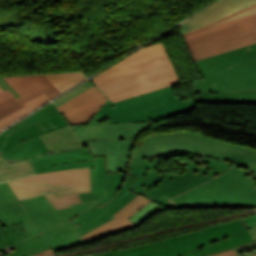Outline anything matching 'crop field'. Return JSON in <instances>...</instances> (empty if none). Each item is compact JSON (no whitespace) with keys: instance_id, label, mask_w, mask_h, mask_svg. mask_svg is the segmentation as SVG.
Returning a JSON list of instances; mask_svg holds the SVG:
<instances>
[{"instance_id":"crop-field-18","label":"crop field","mask_w":256,"mask_h":256,"mask_svg":"<svg viewBox=\"0 0 256 256\" xmlns=\"http://www.w3.org/2000/svg\"><path fill=\"white\" fill-rule=\"evenodd\" d=\"M202 156L235 162L240 166L256 164V149L212 138L209 139Z\"/></svg>"},{"instance_id":"crop-field-37","label":"crop field","mask_w":256,"mask_h":256,"mask_svg":"<svg viewBox=\"0 0 256 256\" xmlns=\"http://www.w3.org/2000/svg\"><path fill=\"white\" fill-rule=\"evenodd\" d=\"M251 180L256 182V176L255 177H251Z\"/></svg>"},{"instance_id":"crop-field-3","label":"crop field","mask_w":256,"mask_h":256,"mask_svg":"<svg viewBox=\"0 0 256 256\" xmlns=\"http://www.w3.org/2000/svg\"><path fill=\"white\" fill-rule=\"evenodd\" d=\"M65 125H68V122L60 113L25 127L8 138L6 135L14 129L12 127L0 135V155L11 162L30 158L34 167L95 160L96 191L105 192V157L93 158L87 147L52 155L46 149L39 135Z\"/></svg>"},{"instance_id":"crop-field-13","label":"crop field","mask_w":256,"mask_h":256,"mask_svg":"<svg viewBox=\"0 0 256 256\" xmlns=\"http://www.w3.org/2000/svg\"><path fill=\"white\" fill-rule=\"evenodd\" d=\"M30 217L17 201L7 182L0 184V250L7 256H31L51 248L42 234L19 242L7 222H23Z\"/></svg>"},{"instance_id":"crop-field-14","label":"crop field","mask_w":256,"mask_h":256,"mask_svg":"<svg viewBox=\"0 0 256 256\" xmlns=\"http://www.w3.org/2000/svg\"><path fill=\"white\" fill-rule=\"evenodd\" d=\"M208 137L188 131L156 133L146 137L142 146H137L133 160L144 161L164 154L183 152L202 155Z\"/></svg>"},{"instance_id":"crop-field-25","label":"crop field","mask_w":256,"mask_h":256,"mask_svg":"<svg viewBox=\"0 0 256 256\" xmlns=\"http://www.w3.org/2000/svg\"><path fill=\"white\" fill-rule=\"evenodd\" d=\"M60 113L56 107L52 104L40 109L39 111L35 112L34 114H32L31 116L27 117L26 119H24L21 123H19L16 128L9 133L7 136H11L13 133H15L16 131H18L19 129L28 126L30 124L39 122L41 120H44L48 117H51L53 115H56Z\"/></svg>"},{"instance_id":"crop-field-19","label":"crop field","mask_w":256,"mask_h":256,"mask_svg":"<svg viewBox=\"0 0 256 256\" xmlns=\"http://www.w3.org/2000/svg\"><path fill=\"white\" fill-rule=\"evenodd\" d=\"M254 2H256V0H221L181 24L182 32L189 31Z\"/></svg>"},{"instance_id":"crop-field-31","label":"crop field","mask_w":256,"mask_h":256,"mask_svg":"<svg viewBox=\"0 0 256 256\" xmlns=\"http://www.w3.org/2000/svg\"><path fill=\"white\" fill-rule=\"evenodd\" d=\"M9 225L19 241L30 237L29 233L26 231L21 223H9Z\"/></svg>"},{"instance_id":"crop-field-16","label":"crop field","mask_w":256,"mask_h":256,"mask_svg":"<svg viewBox=\"0 0 256 256\" xmlns=\"http://www.w3.org/2000/svg\"><path fill=\"white\" fill-rule=\"evenodd\" d=\"M151 201L152 200L144 196L138 195L115 215H113V219L81 236L82 239L85 243H87L139 226L129 218Z\"/></svg>"},{"instance_id":"crop-field-20","label":"crop field","mask_w":256,"mask_h":256,"mask_svg":"<svg viewBox=\"0 0 256 256\" xmlns=\"http://www.w3.org/2000/svg\"><path fill=\"white\" fill-rule=\"evenodd\" d=\"M41 138L51 154L85 146L70 125L41 135Z\"/></svg>"},{"instance_id":"crop-field-34","label":"crop field","mask_w":256,"mask_h":256,"mask_svg":"<svg viewBox=\"0 0 256 256\" xmlns=\"http://www.w3.org/2000/svg\"><path fill=\"white\" fill-rule=\"evenodd\" d=\"M0 87L4 90L9 89L17 98L20 97L13 87L3 78H0Z\"/></svg>"},{"instance_id":"crop-field-6","label":"crop field","mask_w":256,"mask_h":256,"mask_svg":"<svg viewBox=\"0 0 256 256\" xmlns=\"http://www.w3.org/2000/svg\"><path fill=\"white\" fill-rule=\"evenodd\" d=\"M173 86L112 104L107 101L87 124L157 121L195 109L196 99L181 101Z\"/></svg>"},{"instance_id":"crop-field-21","label":"crop field","mask_w":256,"mask_h":256,"mask_svg":"<svg viewBox=\"0 0 256 256\" xmlns=\"http://www.w3.org/2000/svg\"><path fill=\"white\" fill-rule=\"evenodd\" d=\"M197 102L255 103L256 89L234 93L197 94Z\"/></svg>"},{"instance_id":"crop-field-29","label":"crop field","mask_w":256,"mask_h":256,"mask_svg":"<svg viewBox=\"0 0 256 256\" xmlns=\"http://www.w3.org/2000/svg\"><path fill=\"white\" fill-rule=\"evenodd\" d=\"M84 166L94 167V161L63 164L58 166H45V167H38L35 169H36V172L39 173V172L50 171V170L67 169V168L84 167Z\"/></svg>"},{"instance_id":"crop-field-22","label":"crop field","mask_w":256,"mask_h":256,"mask_svg":"<svg viewBox=\"0 0 256 256\" xmlns=\"http://www.w3.org/2000/svg\"><path fill=\"white\" fill-rule=\"evenodd\" d=\"M248 233V232H247ZM246 233V231L237 233L233 236H230L224 240L218 241L212 245L205 246L199 250L192 251L186 255L182 256H205L209 255L211 253L221 251L224 249H228L240 244L252 242V239L249 237V235Z\"/></svg>"},{"instance_id":"crop-field-1","label":"crop field","mask_w":256,"mask_h":256,"mask_svg":"<svg viewBox=\"0 0 256 256\" xmlns=\"http://www.w3.org/2000/svg\"><path fill=\"white\" fill-rule=\"evenodd\" d=\"M91 79L112 102L181 82L162 42L138 50Z\"/></svg>"},{"instance_id":"crop-field-10","label":"crop field","mask_w":256,"mask_h":256,"mask_svg":"<svg viewBox=\"0 0 256 256\" xmlns=\"http://www.w3.org/2000/svg\"><path fill=\"white\" fill-rule=\"evenodd\" d=\"M19 202L51 244L55 253L83 244L74 229L77 226L70 220L95 202L77 204L59 210H56L44 195Z\"/></svg>"},{"instance_id":"crop-field-24","label":"crop field","mask_w":256,"mask_h":256,"mask_svg":"<svg viewBox=\"0 0 256 256\" xmlns=\"http://www.w3.org/2000/svg\"><path fill=\"white\" fill-rule=\"evenodd\" d=\"M49 80L61 91H65L74 86L84 78L83 73H62V74H47Z\"/></svg>"},{"instance_id":"crop-field-30","label":"crop field","mask_w":256,"mask_h":256,"mask_svg":"<svg viewBox=\"0 0 256 256\" xmlns=\"http://www.w3.org/2000/svg\"><path fill=\"white\" fill-rule=\"evenodd\" d=\"M95 86L90 80L87 81L84 85L80 86L79 88L75 89L74 91L68 93L67 95L63 96L62 98L56 100L54 103L56 104V106H60L64 103H66L67 101H69L71 98H73L74 96H76L77 94L91 88Z\"/></svg>"},{"instance_id":"crop-field-2","label":"crop field","mask_w":256,"mask_h":256,"mask_svg":"<svg viewBox=\"0 0 256 256\" xmlns=\"http://www.w3.org/2000/svg\"><path fill=\"white\" fill-rule=\"evenodd\" d=\"M182 155L194 158L193 162H181L175 159L182 170L179 174H167L158 164L162 158ZM235 163L211 158L193 156L183 153L164 155L149 161L135 162L130 160L129 174L137 176L130 192L145 195L167 209L175 208L169 198L188 191L224 172Z\"/></svg>"},{"instance_id":"crop-field-27","label":"crop field","mask_w":256,"mask_h":256,"mask_svg":"<svg viewBox=\"0 0 256 256\" xmlns=\"http://www.w3.org/2000/svg\"><path fill=\"white\" fill-rule=\"evenodd\" d=\"M163 210H165L164 207H162V206H160L157 203L152 201L149 205H147L145 208L140 210L138 213H136L130 219H132L136 223L140 224L141 222L150 218L152 215H154V214H156L160 211H163Z\"/></svg>"},{"instance_id":"crop-field-7","label":"crop field","mask_w":256,"mask_h":256,"mask_svg":"<svg viewBox=\"0 0 256 256\" xmlns=\"http://www.w3.org/2000/svg\"><path fill=\"white\" fill-rule=\"evenodd\" d=\"M176 208L253 207L256 208V183L240 166L171 199Z\"/></svg>"},{"instance_id":"crop-field-23","label":"crop field","mask_w":256,"mask_h":256,"mask_svg":"<svg viewBox=\"0 0 256 256\" xmlns=\"http://www.w3.org/2000/svg\"><path fill=\"white\" fill-rule=\"evenodd\" d=\"M35 173L30 159L9 164L0 156V182Z\"/></svg>"},{"instance_id":"crop-field-33","label":"crop field","mask_w":256,"mask_h":256,"mask_svg":"<svg viewBox=\"0 0 256 256\" xmlns=\"http://www.w3.org/2000/svg\"><path fill=\"white\" fill-rule=\"evenodd\" d=\"M246 229L256 226V213L255 216L241 219Z\"/></svg>"},{"instance_id":"crop-field-8","label":"crop field","mask_w":256,"mask_h":256,"mask_svg":"<svg viewBox=\"0 0 256 256\" xmlns=\"http://www.w3.org/2000/svg\"><path fill=\"white\" fill-rule=\"evenodd\" d=\"M8 183L20 200L45 194L56 209L70 207L81 203L78 193L90 192L89 167L45 172Z\"/></svg>"},{"instance_id":"crop-field-32","label":"crop field","mask_w":256,"mask_h":256,"mask_svg":"<svg viewBox=\"0 0 256 256\" xmlns=\"http://www.w3.org/2000/svg\"><path fill=\"white\" fill-rule=\"evenodd\" d=\"M209 256H239V254H238L236 247H234V248L222 251V252L214 253ZM249 256H256V255H249Z\"/></svg>"},{"instance_id":"crop-field-26","label":"crop field","mask_w":256,"mask_h":256,"mask_svg":"<svg viewBox=\"0 0 256 256\" xmlns=\"http://www.w3.org/2000/svg\"><path fill=\"white\" fill-rule=\"evenodd\" d=\"M45 98H47V96H45L44 94L35 98L34 100L24 104L26 107L1 119L0 120V128H4L5 126L9 125L10 123H12L13 121L17 120L18 118H20L21 116L27 114L28 112L32 111V109L34 107H36L38 104H40Z\"/></svg>"},{"instance_id":"crop-field-17","label":"crop field","mask_w":256,"mask_h":256,"mask_svg":"<svg viewBox=\"0 0 256 256\" xmlns=\"http://www.w3.org/2000/svg\"><path fill=\"white\" fill-rule=\"evenodd\" d=\"M107 100L95 86L58 108L71 125L86 124Z\"/></svg>"},{"instance_id":"crop-field-35","label":"crop field","mask_w":256,"mask_h":256,"mask_svg":"<svg viewBox=\"0 0 256 256\" xmlns=\"http://www.w3.org/2000/svg\"><path fill=\"white\" fill-rule=\"evenodd\" d=\"M242 168L249 175V177L256 175V165H254V166H244Z\"/></svg>"},{"instance_id":"crop-field-11","label":"crop field","mask_w":256,"mask_h":256,"mask_svg":"<svg viewBox=\"0 0 256 256\" xmlns=\"http://www.w3.org/2000/svg\"><path fill=\"white\" fill-rule=\"evenodd\" d=\"M243 230L242 223L236 220L156 242L90 256H178Z\"/></svg>"},{"instance_id":"crop-field-36","label":"crop field","mask_w":256,"mask_h":256,"mask_svg":"<svg viewBox=\"0 0 256 256\" xmlns=\"http://www.w3.org/2000/svg\"><path fill=\"white\" fill-rule=\"evenodd\" d=\"M45 255H55V254H54L53 250L50 249V250H46L44 252H41V253L33 255V256H45Z\"/></svg>"},{"instance_id":"crop-field-12","label":"crop field","mask_w":256,"mask_h":256,"mask_svg":"<svg viewBox=\"0 0 256 256\" xmlns=\"http://www.w3.org/2000/svg\"><path fill=\"white\" fill-rule=\"evenodd\" d=\"M90 179L91 193L79 194L81 202L99 201L72 220L78 226L75 229L79 236L111 219L113 214L137 196L128 192L134 176L107 174L106 193L95 192L93 167H90Z\"/></svg>"},{"instance_id":"crop-field-9","label":"crop field","mask_w":256,"mask_h":256,"mask_svg":"<svg viewBox=\"0 0 256 256\" xmlns=\"http://www.w3.org/2000/svg\"><path fill=\"white\" fill-rule=\"evenodd\" d=\"M155 122L72 126L94 157L106 156L107 173H126L132 143L139 132ZM113 143V145H111Z\"/></svg>"},{"instance_id":"crop-field-15","label":"crop field","mask_w":256,"mask_h":256,"mask_svg":"<svg viewBox=\"0 0 256 256\" xmlns=\"http://www.w3.org/2000/svg\"><path fill=\"white\" fill-rule=\"evenodd\" d=\"M5 79L22 97L17 99L9 90L4 91L0 88V119L25 107L24 103L43 93L49 98L41 104L61 94L45 75L6 77Z\"/></svg>"},{"instance_id":"crop-field-4","label":"crop field","mask_w":256,"mask_h":256,"mask_svg":"<svg viewBox=\"0 0 256 256\" xmlns=\"http://www.w3.org/2000/svg\"><path fill=\"white\" fill-rule=\"evenodd\" d=\"M193 61L256 43V3L182 33Z\"/></svg>"},{"instance_id":"crop-field-5","label":"crop field","mask_w":256,"mask_h":256,"mask_svg":"<svg viewBox=\"0 0 256 256\" xmlns=\"http://www.w3.org/2000/svg\"><path fill=\"white\" fill-rule=\"evenodd\" d=\"M194 63L205 80L194 83L198 93L256 88V44Z\"/></svg>"},{"instance_id":"crop-field-28","label":"crop field","mask_w":256,"mask_h":256,"mask_svg":"<svg viewBox=\"0 0 256 256\" xmlns=\"http://www.w3.org/2000/svg\"><path fill=\"white\" fill-rule=\"evenodd\" d=\"M254 242L237 246L241 256L256 253V227L246 230Z\"/></svg>"}]
</instances>
